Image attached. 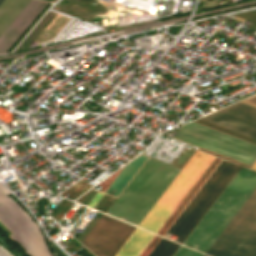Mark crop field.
<instances>
[{
  "label": "crop field",
  "instance_id": "crop-field-1",
  "mask_svg": "<svg viewBox=\"0 0 256 256\" xmlns=\"http://www.w3.org/2000/svg\"><path fill=\"white\" fill-rule=\"evenodd\" d=\"M179 171L149 158L107 214L138 226Z\"/></svg>",
  "mask_w": 256,
  "mask_h": 256
},
{
  "label": "crop field",
  "instance_id": "crop-field-2",
  "mask_svg": "<svg viewBox=\"0 0 256 256\" xmlns=\"http://www.w3.org/2000/svg\"><path fill=\"white\" fill-rule=\"evenodd\" d=\"M255 188L256 172L241 167L183 244L205 253Z\"/></svg>",
  "mask_w": 256,
  "mask_h": 256
},
{
  "label": "crop field",
  "instance_id": "crop-field-3",
  "mask_svg": "<svg viewBox=\"0 0 256 256\" xmlns=\"http://www.w3.org/2000/svg\"><path fill=\"white\" fill-rule=\"evenodd\" d=\"M213 158L214 156L196 150L139 227L156 233Z\"/></svg>",
  "mask_w": 256,
  "mask_h": 256
},
{
  "label": "crop field",
  "instance_id": "crop-field-4",
  "mask_svg": "<svg viewBox=\"0 0 256 256\" xmlns=\"http://www.w3.org/2000/svg\"><path fill=\"white\" fill-rule=\"evenodd\" d=\"M240 166L222 160L168 232L178 236L176 242L182 243L207 209L215 201L225 186L239 170Z\"/></svg>",
  "mask_w": 256,
  "mask_h": 256
},
{
  "label": "crop field",
  "instance_id": "crop-field-5",
  "mask_svg": "<svg viewBox=\"0 0 256 256\" xmlns=\"http://www.w3.org/2000/svg\"><path fill=\"white\" fill-rule=\"evenodd\" d=\"M256 238V189L207 250L211 256H242Z\"/></svg>",
  "mask_w": 256,
  "mask_h": 256
},
{
  "label": "crop field",
  "instance_id": "crop-field-6",
  "mask_svg": "<svg viewBox=\"0 0 256 256\" xmlns=\"http://www.w3.org/2000/svg\"><path fill=\"white\" fill-rule=\"evenodd\" d=\"M0 221L13 233L10 237L28 256H52L36 222L16 201L1 191Z\"/></svg>",
  "mask_w": 256,
  "mask_h": 256
},
{
  "label": "crop field",
  "instance_id": "crop-field-7",
  "mask_svg": "<svg viewBox=\"0 0 256 256\" xmlns=\"http://www.w3.org/2000/svg\"><path fill=\"white\" fill-rule=\"evenodd\" d=\"M179 131H182L184 133L190 134L192 136L198 137L200 139L206 140L208 142L217 144L219 146L225 147L227 149L233 150L235 152L256 159L255 145L220 133L218 131L212 130L210 128L204 127L202 125L196 124L194 122L181 126L179 128ZM179 131L175 133L174 138L201 147L203 149L212 151L214 153L220 154L222 156L228 157L230 159L236 160L249 166H251V164L255 161L254 159H251L249 157L216 146L214 144L208 143L206 141L200 140L198 138L192 137Z\"/></svg>",
  "mask_w": 256,
  "mask_h": 256
},
{
  "label": "crop field",
  "instance_id": "crop-field-8",
  "mask_svg": "<svg viewBox=\"0 0 256 256\" xmlns=\"http://www.w3.org/2000/svg\"><path fill=\"white\" fill-rule=\"evenodd\" d=\"M134 229L103 214L81 243L96 256H114Z\"/></svg>",
  "mask_w": 256,
  "mask_h": 256
},
{
  "label": "crop field",
  "instance_id": "crop-field-9",
  "mask_svg": "<svg viewBox=\"0 0 256 256\" xmlns=\"http://www.w3.org/2000/svg\"><path fill=\"white\" fill-rule=\"evenodd\" d=\"M201 119L256 139V108L244 103L238 102Z\"/></svg>",
  "mask_w": 256,
  "mask_h": 256
},
{
  "label": "crop field",
  "instance_id": "crop-field-10",
  "mask_svg": "<svg viewBox=\"0 0 256 256\" xmlns=\"http://www.w3.org/2000/svg\"><path fill=\"white\" fill-rule=\"evenodd\" d=\"M48 3L31 0L0 36V54L6 53Z\"/></svg>",
  "mask_w": 256,
  "mask_h": 256
},
{
  "label": "crop field",
  "instance_id": "crop-field-11",
  "mask_svg": "<svg viewBox=\"0 0 256 256\" xmlns=\"http://www.w3.org/2000/svg\"><path fill=\"white\" fill-rule=\"evenodd\" d=\"M152 236L153 234L136 228L115 256H138Z\"/></svg>",
  "mask_w": 256,
  "mask_h": 256
},
{
  "label": "crop field",
  "instance_id": "crop-field-12",
  "mask_svg": "<svg viewBox=\"0 0 256 256\" xmlns=\"http://www.w3.org/2000/svg\"><path fill=\"white\" fill-rule=\"evenodd\" d=\"M30 0H4L0 5V35Z\"/></svg>",
  "mask_w": 256,
  "mask_h": 256
},
{
  "label": "crop field",
  "instance_id": "crop-field-13",
  "mask_svg": "<svg viewBox=\"0 0 256 256\" xmlns=\"http://www.w3.org/2000/svg\"><path fill=\"white\" fill-rule=\"evenodd\" d=\"M147 157L141 155L129 165H127L124 170L120 173V175L115 179V181L111 184V186L107 189L106 193L111 189L117 190L114 196L118 197L122 190L126 187L132 177L136 174L139 168L146 161Z\"/></svg>",
  "mask_w": 256,
  "mask_h": 256
},
{
  "label": "crop field",
  "instance_id": "crop-field-14",
  "mask_svg": "<svg viewBox=\"0 0 256 256\" xmlns=\"http://www.w3.org/2000/svg\"><path fill=\"white\" fill-rule=\"evenodd\" d=\"M179 244L162 238L149 256H172Z\"/></svg>",
  "mask_w": 256,
  "mask_h": 256
},
{
  "label": "crop field",
  "instance_id": "crop-field-15",
  "mask_svg": "<svg viewBox=\"0 0 256 256\" xmlns=\"http://www.w3.org/2000/svg\"><path fill=\"white\" fill-rule=\"evenodd\" d=\"M173 256H203V254L180 245Z\"/></svg>",
  "mask_w": 256,
  "mask_h": 256
},
{
  "label": "crop field",
  "instance_id": "crop-field-16",
  "mask_svg": "<svg viewBox=\"0 0 256 256\" xmlns=\"http://www.w3.org/2000/svg\"><path fill=\"white\" fill-rule=\"evenodd\" d=\"M101 215H102V213H99V212L96 213V215L93 217V219L89 222V224L86 226V228L82 231V233L77 238L80 242L86 236V234L90 231V229L93 227V225L97 222V220L101 217Z\"/></svg>",
  "mask_w": 256,
  "mask_h": 256
},
{
  "label": "crop field",
  "instance_id": "crop-field-17",
  "mask_svg": "<svg viewBox=\"0 0 256 256\" xmlns=\"http://www.w3.org/2000/svg\"><path fill=\"white\" fill-rule=\"evenodd\" d=\"M243 256H256V239L247 249Z\"/></svg>",
  "mask_w": 256,
  "mask_h": 256
},
{
  "label": "crop field",
  "instance_id": "crop-field-18",
  "mask_svg": "<svg viewBox=\"0 0 256 256\" xmlns=\"http://www.w3.org/2000/svg\"><path fill=\"white\" fill-rule=\"evenodd\" d=\"M103 193L98 192L97 195L93 198V200L89 203L88 207L93 208L94 205L98 202V200L102 197Z\"/></svg>",
  "mask_w": 256,
  "mask_h": 256
},
{
  "label": "crop field",
  "instance_id": "crop-field-19",
  "mask_svg": "<svg viewBox=\"0 0 256 256\" xmlns=\"http://www.w3.org/2000/svg\"><path fill=\"white\" fill-rule=\"evenodd\" d=\"M254 96H256V95H254ZM254 96H252V97H254ZM252 97H250V98H252ZM250 98H248V99H250ZM248 99H245V100H243V101H241V102H244V103H246V104H249V105H252V106L256 107V104H253V103H256V97H254V98H252V99H250V100H248ZM246 100L251 101V102H253V103L248 102V101H246Z\"/></svg>",
  "mask_w": 256,
  "mask_h": 256
},
{
  "label": "crop field",
  "instance_id": "crop-field-20",
  "mask_svg": "<svg viewBox=\"0 0 256 256\" xmlns=\"http://www.w3.org/2000/svg\"><path fill=\"white\" fill-rule=\"evenodd\" d=\"M51 244L56 252V256H65L52 242H51Z\"/></svg>",
  "mask_w": 256,
  "mask_h": 256
},
{
  "label": "crop field",
  "instance_id": "crop-field-21",
  "mask_svg": "<svg viewBox=\"0 0 256 256\" xmlns=\"http://www.w3.org/2000/svg\"><path fill=\"white\" fill-rule=\"evenodd\" d=\"M0 256H10L9 254H7L4 250H2L0 248Z\"/></svg>",
  "mask_w": 256,
  "mask_h": 256
},
{
  "label": "crop field",
  "instance_id": "crop-field-22",
  "mask_svg": "<svg viewBox=\"0 0 256 256\" xmlns=\"http://www.w3.org/2000/svg\"><path fill=\"white\" fill-rule=\"evenodd\" d=\"M251 169L256 170V162L252 165Z\"/></svg>",
  "mask_w": 256,
  "mask_h": 256
},
{
  "label": "crop field",
  "instance_id": "crop-field-23",
  "mask_svg": "<svg viewBox=\"0 0 256 256\" xmlns=\"http://www.w3.org/2000/svg\"><path fill=\"white\" fill-rule=\"evenodd\" d=\"M3 0H0V3L2 2Z\"/></svg>",
  "mask_w": 256,
  "mask_h": 256
},
{
  "label": "crop field",
  "instance_id": "crop-field-24",
  "mask_svg": "<svg viewBox=\"0 0 256 256\" xmlns=\"http://www.w3.org/2000/svg\"><path fill=\"white\" fill-rule=\"evenodd\" d=\"M204 256H206V255H204Z\"/></svg>",
  "mask_w": 256,
  "mask_h": 256
}]
</instances>
